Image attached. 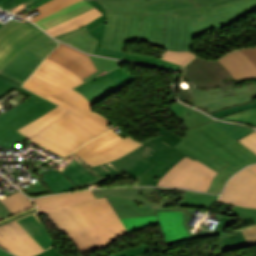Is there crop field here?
Here are the masks:
<instances>
[{
  "label": "crop field",
  "instance_id": "1",
  "mask_svg": "<svg viewBox=\"0 0 256 256\" xmlns=\"http://www.w3.org/2000/svg\"><path fill=\"white\" fill-rule=\"evenodd\" d=\"M71 239L80 254L107 247L129 233L107 197L46 213Z\"/></svg>",
  "mask_w": 256,
  "mask_h": 256
},
{
  "label": "crop field",
  "instance_id": "2",
  "mask_svg": "<svg viewBox=\"0 0 256 256\" xmlns=\"http://www.w3.org/2000/svg\"><path fill=\"white\" fill-rule=\"evenodd\" d=\"M186 134L184 140L175 147L219 172L210 192L219 193L233 173L256 162L254 153L238 141L235 142L212 122L189 129Z\"/></svg>",
  "mask_w": 256,
  "mask_h": 256
},
{
  "label": "crop field",
  "instance_id": "3",
  "mask_svg": "<svg viewBox=\"0 0 256 256\" xmlns=\"http://www.w3.org/2000/svg\"><path fill=\"white\" fill-rule=\"evenodd\" d=\"M81 83L83 80L72 71L45 59L23 87L66 108L102 134L111 130L107 125L112 121L94 112L88 100L72 89Z\"/></svg>",
  "mask_w": 256,
  "mask_h": 256
},
{
  "label": "crop field",
  "instance_id": "4",
  "mask_svg": "<svg viewBox=\"0 0 256 256\" xmlns=\"http://www.w3.org/2000/svg\"><path fill=\"white\" fill-rule=\"evenodd\" d=\"M165 15L107 13L101 47L124 51L130 41L145 40L162 48Z\"/></svg>",
  "mask_w": 256,
  "mask_h": 256
},
{
  "label": "crop field",
  "instance_id": "5",
  "mask_svg": "<svg viewBox=\"0 0 256 256\" xmlns=\"http://www.w3.org/2000/svg\"><path fill=\"white\" fill-rule=\"evenodd\" d=\"M173 190V189H169ZM163 188H114L92 190L95 198L108 196L119 218L150 215L162 211H184V225L191 239L198 238V234H204L201 228H207L203 225L198 226L194 233H191V227L187 225L190 217L187 208H163L164 203H168V198L160 197L164 195ZM199 237V238H203Z\"/></svg>",
  "mask_w": 256,
  "mask_h": 256
},
{
  "label": "crop field",
  "instance_id": "6",
  "mask_svg": "<svg viewBox=\"0 0 256 256\" xmlns=\"http://www.w3.org/2000/svg\"><path fill=\"white\" fill-rule=\"evenodd\" d=\"M100 135L102 134L68 112L29 139L65 158Z\"/></svg>",
  "mask_w": 256,
  "mask_h": 256
},
{
  "label": "crop field",
  "instance_id": "7",
  "mask_svg": "<svg viewBox=\"0 0 256 256\" xmlns=\"http://www.w3.org/2000/svg\"><path fill=\"white\" fill-rule=\"evenodd\" d=\"M155 130L162 134L143 142L144 145L134 150L154 163L134 180L136 185H156L158 180L178 161L185 156L191 158L173 147L183 138L163 125L157 126Z\"/></svg>",
  "mask_w": 256,
  "mask_h": 256
},
{
  "label": "crop field",
  "instance_id": "8",
  "mask_svg": "<svg viewBox=\"0 0 256 256\" xmlns=\"http://www.w3.org/2000/svg\"><path fill=\"white\" fill-rule=\"evenodd\" d=\"M202 15L192 16L199 35L222 29L256 11V0H229L212 6H199Z\"/></svg>",
  "mask_w": 256,
  "mask_h": 256
},
{
  "label": "crop field",
  "instance_id": "9",
  "mask_svg": "<svg viewBox=\"0 0 256 256\" xmlns=\"http://www.w3.org/2000/svg\"><path fill=\"white\" fill-rule=\"evenodd\" d=\"M141 145L142 143L129 137L122 139L112 130L88 142L74 153L93 167L115 160Z\"/></svg>",
  "mask_w": 256,
  "mask_h": 256
},
{
  "label": "crop field",
  "instance_id": "10",
  "mask_svg": "<svg viewBox=\"0 0 256 256\" xmlns=\"http://www.w3.org/2000/svg\"><path fill=\"white\" fill-rule=\"evenodd\" d=\"M100 3L106 12L177 13L178 17L201 14L191 0H112Z\"/></svg>",
  "mask_w": 256,
  "mask_h": 256
},
{
  "label": "crop field",
  "instance_id": "11",
  "mask_svg": "<svg viewBox=\"0 0 256 256\" xmlns=\"http://www.w3.org/2000/svg\"><path fill=\"white\" fill-rule=\"evenodd\" d=\"M217 173L185 157L160 179L158 185L207 191Z\"/></svg>",
  "mask_w": 256,
  "mask_h": 256
},
{
  "label": "crop field",
  "instance_id": "12",
  "mask_svg": "<svg viewBox=\"0 0 256 256\" xmlns=\"http://www.w3.org/2000/svg\"><path fill=\"white\" fill-rule=\"evenodd\" d=\"M34 25L11 19L0 27V70L24 47L43 35Z\"/></svg>",
  "mask_w": 256,
  "mask_h": 256
},
{
  "label": "crop field",
  "instance_id": "13",
  "mask_svg": "<svg viewBox=\"0 0 256 256\" xmlns=\"http://www.w3.org/2000/svg\"><path fill=\"white\" fill-rule=\"evenodd\" d=\"M56 47V41L45 34L24 48L1 72L24 82Z\"/></svg>",
  "mask_w": 256,
  "mask_h": 256
},
{
  "label": "crop field",
  "instance_id": "14",
  "mask_svg": "<svg viewBox=\"0 0 256 256\" xmlns=\"http://www.w3.org/2000/svg\"><path fill=\"white\" fill-rule=\"evenodd\" d=\"M55 106L41 99L24 111L0 122V146L10 149L27 139L16 130L42 116Z\"/></svg>",
  "mask_w": 256,
  "mask_h": 256
},
{
  "label": "crop field",
  "instance_id": "15",
  "mask_svg": "<svg viewBox=\"0 0 256 256\" xmlns=\"http://www.w3.org/2000/svg\"><path fill=\"white\" fill-rule=\"evenodd\" d=\"M0 247L17 256H36L45 251L16 220L0 226Z\"/></svg>",
  "mask_w": 256,
  "mask_h": 256
},
{
  "label": "crop field",
  "instance_id": "16",
  "mask_svg": "<svg viewBox=\"0 0 256 256\" xmlns=\"http://www.w3.org/2000/svg\"><path fill=\"white\" fill-rule=\"evenodd\" d=\"M219 200L256 208V174L247 168L237 173L229 181Z\"/></svg>",
  "mask_w": 256,
  "mask_h": 256
},
{
  "label": "crop field",
  "instance_id": "17",
  "mask_svg": "<svg viewBox=\"0 0 256 256\" xmlns=\"http://www.w3.org/2000/svg\"><path fill=\"white\" fill-rule=\"evenodd\" d=\"M197 36L191 16L177 18L176 14L166 15L163 48L190 50L192 40Z\"/></svg>",
  "mask_w": 256,
  "mask_h": 256
},
{
  "label": "crop field",
  "instance_id": "18",
  "mask_svg": "<svg viewBox=\"0 0 256 256\" xmlns=\"http://www.w3.org/2000/svg\"><path fill=\"white\" fill-rule=\"evenodd\" d=\"M181 71L196 85H224L221 79L231 75L217 60L209 61L199 57L193 59Z\"/></svg>",
  "mask_w": 256,
  "mask_h": 256
},
{
  "label": "crop field",
  "instance_id": "19",
  "mask_svg": "<svg viewBox=\"0 0 256 256\" xmlns=\"http://www.w3.org/2000/svg\"><path fill=\"white\" fill-rule=\"evenodd\" d=\"M59 44L60 45L48 55L47 59L55 61L72 70L82 79L97 71L89 55L79 53L64 44Z\"/></svg>",
  "mask_w": 256,
  "mask_h": 256
},
{
  "label": "crop field",
  "instance_id": "20",
  "mask_svg": "<svg viewBox=\"0 0 256 256\" xmlns=\"http://www.w3.org/2000/svg\"><path fill=\"white\" fill-rule=\"evenodd\" d=\"M151 164L136 152H131L115 161L93 167L102 176L120 171L125 176L134 180L143 173Z\"/></svg>",
  "mask_w": 256,
  "mask_h": 256
},
{
  "label": "crop field",
  "instance_id": "21",
  "mask_svg": "<svg viewBox=\"0 0 256 256\" xmlns=\"http://www.w3.org/2000/svg\"><path fill=\"white\" fill-rule=\"evenodd\" d=\"M217 60L234 78L256 75V47L233 51Z\"/></svg>",
  "mask_w": 256,
  "mask_h": 256
},
{
  "label": "crop field",
  "instance_id": "22",
  "mask_svg": "<svg viewBox=\"0 0 256 256\" xmlns=\"http://www.w3.org/2000/svg\"><path fill=\"white\" fill-rule=\"evenodd\" d=\"M255 91L256 89L247 90L246 87L236 88L235 96L225 98H222L221 89L195 92V106L204 103L212 111L247 102Z\"/></svg>",
  "mask_w": 256,
  "mask_h": 256
},
{
  "label": "crop field",
  "instance_id": "23",
  "mask_svg": "<svg viewBox=\"0 0 256 256\" xmlns=\"http://www.w3.org/2000/svg\"><path fill=\"white\" fill-rule=\"evenodd\" d=\"M156 215L165 234L166 245L190 239L183 225V212H162Z\"/></svg>",
  "mask_w": 256,
  "mask_h": 256
},
{
  "label": "crop field",
  "instance_id": "24",
  "mask_svg": "<svg viewBox=\"0 0 256 256\" xmlns=\"http://www.w3.org/2000/svg\"><path fill=\"white\" fill-rule=\"evenodd\" d=\"M89 199H93L91 190L47 196L33 201L37 205L38 213H44Z\"/></svg>",
  "mask_w": 256,
  "mask_h": 256
},
{
  "label": "crop field",
  "instance_id": "25",
  "mask_svg": "<svg viewBox=\"0 0 256 256\" xmlns=\"http://www.w3.org/2000/svg\"><path fill=\"white\" fill-rule=\"evenodd\" d=\"M216 216L221 220L215 230L211 231L208 229H203V231L206 237L219 235L221 252L248 246L240 230L236 231V235L234 236L222 234V230L224 228L230 227L237 222L236 218L226 217L220 214H217Z\"/></svg>",
  "mask_w": 256,
  "mask_h": 256
},
{
  "label": "crop field",
  "instance_id": "26",
  "mask_svg": "<svg viewBox=\"0 0 256 256\" xmlns=\"http://www.w3.org/2000/svg\"><path fill=\"white\" fill-rule=\"evenodd\" d=\"M115 80L117 79L105 71L74 89L83 94L89 100L90 104L93 105L111 94L102 87Z\"/></svg>",
  "mask_w": 256,
  "mask_h": 256
},
{
  "label": "crop field",
  "instance_id": "27",
  "mask_svg": "<svg viewBox=\"0 0 256 256\" xmlns=\"http://www.w3.org/2000/svg\"><path fill=\"white\" fill-rule=\"evenodd\" d=\"M19 224L46 250L54 246L37 213L17 219Z\"/></svg>",
  "mask_w": 256,
  "mask_h": 256
},
{
  "label": "crop field",
  "instance_id": "28",
  "mask_svg": "<svg viewBox=\"0 0 256 256\" xmlns=\"http://www.w3.org/2000/svg\"><path fill=\"white\" fill-rule=\"evenodd\" d=\"M92 8H94V6H92L86 0H81L69 7H66V8L36 22V24L45 30L51 26H54L56 24L66 21L74 16L84 13Z\"/></svg>",
  "mask_w": 256,
  "mask_h": 256
},
{
  "label": "crop field",
  "instance_id": "29",
  "mask_svg": "<svg viewBox=\"0 0 256 256\" xmlns=\"http://www.w3.org/2000/svg\"><path fill=\"white\" fill-rule=\"evenodd\" d=\"M100 15H102V14L95 8L89 12H86L82 15L74 17L64 23H61L54 27H51L45 31L48 32L53 37H55L60 34L66 33L68 31L77 29V28L83 26L84 24L92 21L93 19L97 18Z\"/></svg>",
  "mask_w": 256,
  "mask_h": 256
},
{
  "label": "crop field",
  "instance_id": "30",
  "mask_svg": "<svg viewBox=\"0 0 256 256\" xmlns=\"http://www.w3.org/2000/svg\"><path fill=\"white\" fill-rule=\"evenodd\" d=\"M170 109L172 113L183 122L186 129L213 120L194 109L179 104L178 102L171 104Z\"/></svg>",
  "mask_w": 256,
  "mask_h": 256
},
{
  "label": "crop field",
  "instance_id": "31",
  "mask_svg": "<svg viewBox=\"0 0 256 256\" xmlns=\"http://www.w3.org/2000/svg\"><path fill=\"white\" fill-rule=\"evenodd\" d=\"M58 40L73 45L87 53H93L96 44L98 42L89 32H87L84 28L57 38Z\"/></svg>",
  "mask_w": 256,
  "mask_h": 256
},
{
  "label": "crop field",
  "instance_id": "32",
  "mask_svg": "<svg viewBox=\"0 0 256 256\" xmlns=\"http://www.w3.org/2000/svg\"><path fill=\"white\" fill-rule=\"evenodd\" d=\"M66 112V109L57 106L42 117L38 118L37 120L33 121L32 123L28 124L27 126L23 127L18 131L29 138L45 126L58 119Z\"/></svg>",
  "mask_w": 256,
  "mask_h": 256
},
{
  "label": "crop field",
  "instance_id": "33",
  "mask_svg": "<svg viewBox=\"0 0 256 256\" xmlns=\"http://www.w3.org/2000/svg\"><path fill=\"white\" fill-rule=\"evenodd\" d=\"M43 175L47 185L50 187L53 193L77 190V188L68 178L54 168Z\"/></svg>",
  "mask_w": 256,
  "mask_h": 256
},
{
  "label": "crop field",
  "instance_id": "34",
  "mask_svg": "<svg viewBox=\"0 0 256 256\" xmlns=\"http://www.w3.org/2000/svg\"><path fill=\"white\" fill-rule=\"evenodd\" d=\"M88 2H90L92 5H94L103 14L102 16L98 17L94 21L83 26L87 31H89L94 37H96L99 40L98 45L93 53V54L97 55L98 51L100 49V45H101V41H102L104 29H105L106 12L104 11L103 7L96 1L90 0ZM74 31H76V30H74ZM74 31H71V32H74ZM71 32H68V33H71ZM68 33H66V34H68ZM63 35H65V34H63ZM60 36H62V35H60ZM55 38H57V37H55Z\"/></svg>",
  "mask_w": 256,
  "mask_h": 256
},
{
  "label": "crop field",
  "instance_id": "35",
  "mask_svg": "<svg viewBox=\"0 0 256 256\" xmlns=\"http://www.w3.org/2000/svg\"><path fill=\"white\" fill-rule=\"evenodd\" d=\"M229 216L237 217L238 223L230 229L238 230L256 224V209L234 206Z\"/></svg>",
  "mask_w": 256,
  "mask_h": 256
},
{
  "label": "crop field",
  "instance_id": "36",
  "mask_svg": "<svg viewBox=\"0 0 256 256\" xmlns=\"http://www.w3.org/2000/svg\"><path fill=\"white\" fill-rule=\"evenodd\" d=\"M7 208L14 214H18L35 206L25 195L20 191L1 200Z\"/></svg>",
  "mask_w": 256,
  "mask_h": 256
},
{
  "label": "crop field",
  "instance_id": "37",
  "mask_svg": "<svg viewBox=\"0 0 256 256\" xmlns=\"http://www.w3.org/2000/svg\"><path fill=\"white\" fill-rule=\"evenodd\" d=\"M76 1H78V0H52L44 5L39 6L38 8L22 15V17L27 18L25 15L37 10L40 14L29 19V20L35 22V21H37L47 15H50L66 6L76 2Z\"/></svg>",
  "mask_w": 256,
  "mask_h": 256
},
{
  "label": "crop field",
  "instance_id": "38",
  "mask_svg": "<svg viewBox=\"0 0 256 256\" xmlns=\"http://www.w3.org/2000/svg\"><path fill=\"white\" fill-rule=\"evenodd\" d=\"M216 195L187 191L180 205L200 206L208 209Z\"/></svg>",
  "mask_w": 256,
  "mask_h": 256
},
{
  "label": "crop field",
  "instance_id": "39",
  "mask_svg": "<svg viewBox=\"0 0 256 256\" xmlns=\"http://www.w3.org/2000/svg\"><path fill=\"white\" fill-rule=\"evenodd\" d=\"M121 221L126 226V228L129 230V232H133L140 228L158 223L155 215L124 218V219H121Z\"/></svg>",
  "mask_w": 256,
  "mask_h": 256
},
{
  "label": "crop field",
  "instance_id": "40",
  "mask_svg": "<svg viewBox=\"0 0 256 256\" xmlns=\"http://www.w3.org/2000/svg\"><path fill=\"white\" fill-rule=\"evenodd\" d=\"M212 122L216 124L220 129H222L225 133H227L235 141L254 131L250 128L242 127L239 125H231L216 120Z\"/></svg>",
  "mask_w": 256,
  "mask_h": 256
},
{
  "label": "crop field",
  "instance_id": "41",
  "mask_svg": "<svg viewBox=\"0 0 256 256\" xmlns=\"http://www.w3.org/2000/svg\"><path fill=\"white\" fill-rule=\"evenodd\" d=\"M109 73L118 79L117 81L103 87V88L107 89L108 91H110L111 93L113 91L119 89L120 87L124 86L126 83L135 79L134 76H132L131 74H129L128 72H126L125 70H123L120 67H118L117 69H115Z\"/></svg>",
  "mask_w": 256,
  "mask_h": 256
},
{
  "label": "crop field",
  "instance_id": "42",
  "mask_svg": "<svg viewBox=\"0 0 256 256\" xmlns=\"http://www.w3.org/2000/svg\"><path fill=\"white\" fill-rule=\"evenodd\" d=\"M195 56L196 55L191 52H173L165 50L161 59L183 66Z\"/></svg>",
  "mask_w": 256,
  "mask_h": 256
},
{
  "label": "crop field",
  "instance_id": "43",
  "mask_svg": "<svg viewBox=\"0 0 256 256\" xmlns=\"http://www.w3.org/2000/svg\"><path fill=\"white\" fill-rule=\"evenodd\" d=\"M90 57H91L92 61L94 62L98 71L96 73L90 75L89 77L83 79L84 82L105 70L108 72V71L118 67L121 64V62H119V61L107 60V59L98 58V57H94V56H90Z\"/></svg>",
  "mask_w": 256,
  "mask_h": 256
},
{
  "label": "crop field",
  "instance_id": "44",
  "mask_svg": "<svg viewBox=\"0 0 256 256\" xmlns=\"http://www.w3.org/2000/svg\"><path fill=\"white\" fill-rule=\"evenodd\" d=\"M39 0H0V8L17 13Z\"/></svg>",
  "mask_w": 256,
  "mask_h": 256
},
{
  "label": "crop field",
  "instance_id": "45",
  "mask_svg": "<svg viewBox=\"0 0 256 256\" xmlns=\"http://www.w3.org/2000/svg\"><path fill=\"white\" fill-rule=\"evenodd\" d=\"M227 121H237L256 127V109L247 110L228 117L220 118Z\"/></svg>",
  "mask_w": 256,
  "mask_h": 256
},
{
  "label": "crop field",
  "instance_id": "46",
  "mask_svg": "<svg viewBox=\"0 0 256 256\" xmlns=\"http://www.w3.org/2000/svg\"><path fill=\"white\" fill-rule=\"evenodd\" d=\"M123 60L156 66L159 58L125 52Z\"/></svg>",
  "mask_w": 256,
  "mask_h": 256
},
{
  "label": "crop field",
  "instance_id": "47",
  "mask_svg": "<svg viewBox=\"0 0 256 256\" xmlns=\"http://www.w3.org/2000/svg\"><path fill=\"white\" fill-rule=\"evenodd\" d=\"M13 88L18 90L19 92L25 94V95H27V96L37 100V101L39 99H41V98L35 96L34 94L30 93L29 91L23 89L22 87L19 88V87L15 86V85H13V84H11L9 82H6V81L0 79V97H2L3 95L7 94L11 90H13Z\"/></svg>",
  "mask_w": 256,
  "mask_h": 256
},
{
  "label": "crop field",
  "instance_id": "48",
  "mask_svg": "<svg viewBox=\"0 0 256 256\" xmlns=\"http://www.w3.org/2000/svg\"><path fill=\"white\" fill-rule=\"evenodd\" d=\"M151 251L147 243L121 251L110 256H137Z\"/></svg>",
  "mask_w": 256,
  "mask_h": 256
},
{
  "label": "crop field",
  "instance_id": "49",
  "mask_svg": "<svg viewBox=\"0 0 256 256\" xmlns=\"http://www.w3.org/2000/svg\"><path fill=\"white\" fill-rule=\"evenodd\" d=\"M36 101L32 100V99H27L26 101L14 106L13 108L9 109L8 111L4 112L2 115H0V121L8 118L9 116L29 107L30 105H32L33 103H35Z\"/></svg>",
  "mask_w": 256,
  "mask_h": 256
},
{
  "label": "crop field",
  "instance_id": "50",
  "mask_svg": "<svg viewBox=\"0 0 256 256\" xmlns=\"http://www.w3.org/2000/svg\"><path fill=\"white\" fill-rule=\"evenodd\" d=\"M255 107H256V102L247 104V105H243V106H239V107H235V108H231V109H227V110H223V111H219V112H215V113H211L210 115L219 118L222 116H227V115H230L233 113H237L239 111H244L246 109L255 108Z\"/></svg>",
  "mask_w": 256,
  "mask_h": 256
},
{
  "label": "crop field",
  "instance_id": "51",
  "mask_svg": "<svg viewBox=\"0 0 256 256\" xmlns=\"http://www.w3.org/2000/svg\"><path fill=\"white\" fill-rule=\"evenodd\" d=\"M241 231L249 246L256 244V225L244 228Z\"/></svg>",
  "mask_w": 256,
  "mask_h": 256
},
{
  "label": "crop field",
  "instance_id": "52",
  "mask_svg": "<svg viewBox=\"0 0 256 256\" xmlns=\"http://www.w3.org/2000/svg\"><path fill=\"white\" fill-rule=\"evenodd\" d=\"M256 154V131L238 140Z\"/></svg>",
  "mask_w": 256,
  "mask_h": 256
},
{
  "label": "crop field",
  "instance_id": "53",
  "mask_svg": "<svg viewBox=\"0 0 256 256\" xmlns=\"http://www.w3.org/2000/svg\"><path fill=\"white\" fill-rule=\"evenodd\" d=\"M98 55L122 59V57H123V52L114 51V50H108V49H103V48H101Z\"/></svg>",
  "mask_w": 256,
  "mask_h": 256
},
{
  "label": "crop field",
  "instance_id": "54",
  "mask_svg": "<svg viewBox=\"0 0 256 256\" xmlns=\"http://www.w3.org/2000/svg\"><path fill=\"white\" fill-rule=\"evenodd\" d=\"M157 66L158 67H162V68H167V69L175 70V71L178 70L181 67V66H178V65H175V64L163 61V60H159Z\"/></svg>",
  "mask_w": 256,
  "mask_h": 256
},
{
  "label": "crop field",
  "instance_id": "55",
  "mask_svg": "<svg viewBox=\"0 0 256 256\" xmlns=\"http://www.w3.org/2000/svg\"><path fill=\"white\" fill-rule=\"evenodd\" d=\"M12 214L5 205L0 201V221L8 218L7 215Z\"/></svg>",
  "mask_w": 256,
  "mask_h": 256
},
{
  "label": "crop field",
  "instance_id": "56",
  "mask_svg": "<svg viewBox=\"0 0 256 256\" xmlns=\"http://www.w3.org/2000/svg\"><path fill=\"white\" fill-rule=\"evenodd\" d=\"M196 4L198 5H201V4H204V3H207L209 5H212V4H216V3H219V2H223V1H226V0H193Z\"/></svg>",
  "mask_w": 256,
  "mask_h": 256
},
{
  "label": "crop field",
  "instance_id": "57",
  "mask_svg": "<svg viewBox=\"0 0 256 256\" xmlns=\"http://www.w3.org/2000/svg\"><path fill=\"white\" fill-rule=\"evenodd\" d=\"M54 248V247H53ZM53 248L43 252L42 254L38 255V256H62L61 254H59L56 250H54Z\"/></svg>",
  "mask_w": 256,
  "mask_h": 256
},
{
  "label": "crop field",
  "instance_id": "58",
  "mask_svg": "<svg viewBox=\"0 0 256 256\" xmlns=\"http://www.w3.org/2000/svg\"><path fill=\"white\" fill-rule=\"evenodd\" d=\"M0 78L4 79V80H6V81H9V82H11V83H13V84H15V85H17V86H19V87H21V85H22L21 83L15 81V80H13V79H10V78H8V77L2 75V74H0Z\"/></svg>",
  "mask_w": 256,
  "mask_h": 256
},
{
  "label": "crop field",
  "instance_id": "59",
  "mask_svg": "<svg viewBox=\"0 0 256 256\" xmlns=\"http://www.w3.org/2000/svg\"><path fill=\"white\" fill-rule=\"evenodd\" d=\"M48 1H50V0H41V1L37 2V3H35L34 5L30 6V8H31V10H32V9L38 7L39 5H41V4H43V3H46V2H48Z\"/></svg>",
  "mask_w": 256,
  "mask_h": 256
},
{
  "label": "crop field",
  "instance_id": "60",
  "mask_svg": "<svg viewBox=\"0 0 256 256\" xmlns=\"http://www.w3.org/2000/svg\"><path fill=\"white\" fill-rule=\"evenodd\" d=\"M249 169H251L252 171H254L256 173V165L250 166L248 167Z\"/></svg>",
  "mask_w": 256,
  "mask_h": 256
},
{
  "label": "crop field",
  "instance_id": "61",
  "mask_svg": "<svg viewBox=\"0 0 256 256\" xmlns=\"http://www.w3.org/2000/svg\"><path fill=\"white\" fill-rule=\"evenodd\" d=\"M97 2H100V1H106V0H96Z\"/></svg>",
  "mask_w": 256,
  "mask_h": 256
}]
</instances>
